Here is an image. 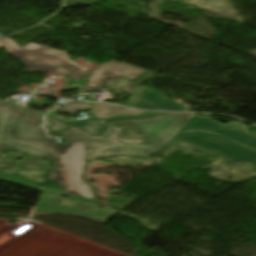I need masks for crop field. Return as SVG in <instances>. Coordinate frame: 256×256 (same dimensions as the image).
Returning <instances> with one entry per match:
<instances>
[{
    "mask_svg": "<svg viewBox=\"0 0 256 256\" xmlns=\"http://www.w3.org/2000/svg\"><path fill=\"white\" fill-rule=\"evenodd\" d=\"M17 109L11 113L0 139V149L15 150L55 161V171L49 173V181L59 183L64 191L40 189L29 185L30 181L0 173V179L41 191L96 203L93 189L83 182L85 142L67 140V145L47 139L36 121L39 112ZM66 192H69L67 194Z\"/></svg>",
    "mask_w": 256,
    "mask_h": 256,
    "instance_id": "crop-field-1",
    "label": "crop field"
},
{
    "mask_svg": "<svg viewBox=\"0 0 256 256\" xmlns=\"http://www.w3.org/2000/svg\"><path fill=\"white\" fill-rule=\"evenodd\" d=\"M194 114L195 113H166L162 117L148 121L122 122L155 140V145L108 143L116 132V129L112 128L107 132L105 137L90 138L77 129H71L61 138L88 140L87 161L96 157L111 155L149 157L150 153L159 151L168 144L173 136L182 128L189 118L194 116Z\"/></svg>",
    "mask_w": 256,
    "mask_h": 256,
    "instance_id": "crop-field-2",
    "label": "crop field"
},
{
    "mask_svg": "<svg viewBox=\"0 0 256 256\" xmlns=\"http://www.w3.org/2000/svg\"><path fill=\"white\" fill-rule=\"evenodd\" d=\"M169 144L203 153L215 152L225 158L221 164L228 168L247 163L256 169V151L212 133L197 131L178 134Z\"/></svg>",
    "mask_w": 256,
    "mask_h": 256,
    "instance_id": "crop-field-3",
    "label": "crop field"
},
{
    "mask_svg": "<svg viewBox=\"0 0 256 256\" xmlns=\"http://www.w3.org/2000/svg\"><path fill=\"white\" fill-rule=\"evenodd\" d=\"M162 115H164V112H148L140 114L117 113L108 118L97 119L93 113H90L86 120H63L56 115L48 114L45 121L50 124L45 125V128L48 132H56L58 135H62L75 127L90 137H98L106 133L111 122L147 120ZM100 121H103V123H100Z\"/></svg>",
    "mask_w": 256,
    "mask_h": 256,
    "instance_id": "crop-field-4",
    "label": "crop field"
},
{
    "mask_svg": "<svg viewBox=\"0 0 256 256\" xmlns=\"http://www.w3.org/2000/svg\"><path fill=\"white\" fill-rule=\"evenodd\" d=\"M189 130H208L224 136L232 141H236L248 147L256 149V134H248L245 126L232 122L231 124L221 126L219 123L205 117L194 116L178 132Z\"/></svg>",
    "mask_w": 256,
    "mask_h": 256,
    "instance_id": "crop-field-5",
    "label": "crop field"
},
{
    "mask_svg": "<svg viewBox=\"0 0 256 256\" xmlns=\"http://www.w3.org/2000/svg\"><path fill=\"white\" fill-rule=\"evenodd\" d=\"M143 72L145 70L126 63L110 61L95 69V73L88 77L87 84L82 89L83 91L101 90L107 78L123 77L134 80Z\"/></svg>",
    "mask_w": 256,
    "mask_h": 256,
    "instance_id": "crop-field-6",
    "label": "crop field"
},
{
    "mask_svg": "<svg viewBox=\"0 0 256 256\" xmlns=\"http://www.w3.org/2000/svg\"><path fill=\"white\" fill-rule=\"evenodd\" d=\"M29 54L34 55L50 64L61 65L68 72L73 74L77 80L89 75L87 69L69 60L67 53L49 47L29 43L23 47Z\"/></svg>",
    "mask_w": 256,
    "mask_h": 256,
    "instance_id": "crop-field-7",
    "label": "crop field"
},
{
    "mask_svg": "<svg viewBox=\"0 0 256 256\" xmlns=\"http://www.w3.org/2000/svg\"><path fill=\"white\" fill-rule=\"evenodd\" d=\"M0 44L13 57H19L26 64L29 71L65 73L71 79L76 80L74 76H72L70 73L64 70L61 66L54 67L45 61H42L36 57L29 55L24 49H21L20 47H18L9 38L1 39Z\"/></svg>",
    "mask_w": 256,
    "mask_h": 256,
    "instance_id": "crop-field-8",
    "label": "crop field"
},
{
    "mask_svg": "<svg viewBox=\"0 0 256 256\" xmlns=\"http://www.w3.org/2000/svg\"><path fill=\"white\" fill-rule=\"evenodd\" d=\"M135 108L175 111H183L185 109L184 106L170 102L164 99L161 94L146 87L144 88Z\"/></svg>",
    "mask_w": 256,
    "mask_h": 256,
    "instance_id": "crop-field-9",
    "label": "crop field"
},
{
    "mask_svg": "<svg viewBox=\"0 0 256 256\" xmlns=\"http://www.w3.org/2000/svg\"><path fill=\"white\" fill-rule=\"evenodd\" d=\"M122 107L109 105V104H102V103H94L91 111L97 116V118L107 117L111 114L117 112H130V113H140L144 111H136L130 109L120 110Z\"/></svg>",
    "mask_w": 256,
    "mask_h": 256,
    "instance_id": "crop-field-10",
    "label": "crop field"
},
{
    "mask_svg": "<svg viewBox=\"0 0 256 256\" xmlns=\"http://www.w3.org/2000/svg\"><path fill=\"white\" fill-rule=\"evenodd\" d=\"M13 102H0V137L6 124Z\"/></svg>",
    "mask_w": 256,
    "mask_h": 256,
    "instance_id": "crop-field-11",
    "label": "crop field"
},
{
    "mask_svg": "<svg viewBox=\"0 0 256 256\" xmlns=\"http://www.w3.org/2000/svg\"><path fill=\"white\" fill-rule=\"evenodd\" d=\"M91 103H66L65 106L59 112H74L80 110H86L90 108Z\"/></svg>",
    "mask_w": 256,
    "mask_h": 256,
    "instance_id": "crop-field-12",
    "label": "crop field"
},
{
    "mask_svg": "<svg viewBox=\"0 0 256 256\" xmlns=\"http://www.w3.org/2000/svg\"><path fill=\"white\" fill-rule=\"evenodd\" d=\"M144 87H136L127 103L128 107H134Z\"/></svg>",
    "mask_w": 256,
    "mask_h": 256,
    "instance_id": "crop-field-13",
    "label": "crop field"
},
{
    "mask_svg": "<svg viewBox=\"0 0 256 256\" xmlns=\"http://www.w3.org/2000/svg\"><path fill=\"white\" fill-rule=\"evenodd\" d=\"M78 1H92V0H69V1H67L66 6L68 7V3L78 2ZM92 3H94V2H84V3H76V4H92Z\"/></svg>",
    "mask_w": 256,
    "mask_h": 256,
    "instance_id": "crop-field-14",
    "label": "crop field"
},
{
    "mask_svg": "<svg viewBox=\"0 0 256 256\" xmlns=\"http://www.w3.org/2000/svg\"><path fill=\"white\" fill-rule=\"evenodd\" d=\"M53 89L51 88H44L42 90H39L37 93H45L48 94L50 91H52Z\"/></svg>",
    "mask_w": 256,
    "mask_h": 256,
    "instance_id": "crop-field-15",
    "label": "crop field"
},
{
    "mask_svg": "<svg viewBox=\"0 0 256 256\" xmlns=\"http://www.w3.org/2000/svg\"><path fill=\"white\" fill-rule=\"evenodd\" d=\"M0 47H1V45H0Z\"/></svg>",
    "mask_w": 256,
    "mask_h": 256,
    "instance_id": "crop-field-16",
    "label": "crop field"
},
{
    "mask_svg": "<svg viewBox=\"0 0 256 256\" xmlns=\"http://www.w3.org/2000/svg\"><path fill=\"white\" fill-rule=\"evenodd\" d=\"M0 36H2V35H0Z\"/></svg>",
    "mask_w": 256,
    "mask_h": 256,
    "instance_id": "crop-field-17",
    "label": "crop field"
}]
</instances>
